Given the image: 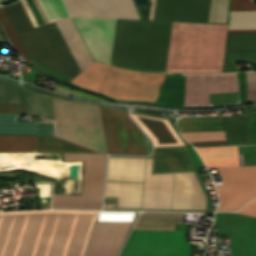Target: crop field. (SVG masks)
<instances>
[{
    "mask_svg": "<svg viewBox=\"0 0 256 256\" xmlns=\"http://www.w3.org/2000/svg\"><path fill=\"white\" fill-rule=\"evenodd\" d=\"M72 18L94 60L110 65L117 20ZM171 25L118 20L111 65L165 72ZM227 28L173 22L166 72H221Z\"/></svg>",
    "mask_w": 256,
    "mask_h": 256,
    "instance_id": "8a807250",
    "label": "crop field"
},
{
    "mask_svg": "<svg viewBox=\"0 0 256 256\" xmlns=\"http://www.w3.org/2000/svg\"><path fill=\"white\" fill-rule=\"evenodd\" d=\"M56 136L101 153L145 155L141 130L128 112L53 97Z\"/></svg>",
    "mask_w": 256,
    "mask_h": 256,
    "instance_id": "ac0d7876",
    "label": "crop field"
},
{
    "mask_svg": "<svg viewBox=\"0 0 256 256\" xmlns=\"http://www.w3.org/2000/svg\"><path fill=\"white\" fill-rule=\"evenodd\" d=\"M22 1L34 24L69 16L61 0ZM22 1L5 9L31 59L73 79L81 70L55 20L33 25Z\"/></svg>",
    "mask_w": 256,
    "mask_h": 256,
    "instance_id": "34b2d1b8",
    "label": "crop field"
},
{
    "mask_svg": "<svg viewBox=\"0 0 256 256\" xmlns=\"http://www.w3.org/2000/svg\"><path fill=\"white\" fill-rule=\"evenodd\" d=\"M165 74L143 73L93 62L71 83L120 100L155 102Z\"/></svg>",
    "mask_w": 256,
    "mask_h": 256,
    "instance_id": "412701ff",
    "label": "crop field"
},
{
    "mask_svg": "<svg viewBox=\"0 0 256 256\" xmlns=\"http://www.w3.org/2000/svg\"><path fill=\"white\" fill-rule=\"evenodd\" d=\"M146 159L143 208H172L174 173L151 175ZM174 208L206 209V196L194 171L176 173Z\"/></svg>",
    "mask_w": 256,
    "mask_h": 256,
    "instance_id": "f4fd0767",
    "label": "crop field"
},
{
    "mask_svg": "<svg viewBox=\"0 0 256 256\" xmlns=\"http://www.w3.org/2000/svg\"><path fill=\"white\" fill-rule=\"evenodd\" d=\"M49 212L95 213V215H96V212H86V211L49 210ZM56 217L57 216H55V215H50V216L46 217V221H45V224L43 227V231H42V234L40 237V241H39L35 256H44L45 255ZM58 217H57V220H58ZM74 217L75 216H60L59 217L57 227L55 224L56 230L54 227L55 233L53 230L54 236L52 233V236H53L52 243L50 240L51 246L49 243L50 249L48 246L49 252L47 249L48 256H63L65 248H66V244L68 241V237H69V234L71 231V227H72V224L74 221ZM76 217H75V221H76ZM92 218L93 217H90V216H78L76 224L74 221L75 227L73 224L74 231H73V227H72L73 234L71 231L72 238H71V241L69 238L70 244L68 241L69 248H68V244H67L68 251L66 248V251H67V254L65 251L66 256H81ZM57 220H56V223H57ZM93 222H94V220H93ZM92 225H93V223H92ZM91 228H92V226H91ZM90 231H91V229H90ZM71 234H70V237H71ZM89 234H90V232H89ZM52 236H51V239H52ZM88 238H89V235H88ZM88 238H87V241H88ZM87 241H86V244H87ZM86 244H85V247H86ZM85 247H84V250H85ZM84 250H83V254H84ZM47 252H46V255H47ZM65 254H64V256H65ZM83 254H82V256H83Z\"/></svg>",
    "mask_w": 256,
    "mask_h": 256,
    "instance_id": "dd49c442",
    "label": "crop field"
},
{
    "mask_svg": "<svg viewBox=\"0 0 256 256\" xmlns=\"http://www.w3.org/2000/svg\"><path fill=\"white\" fill-rule=\"evenodd\" d=\"M106 155L66 153L64 161L85 160L83 196L53 195L52 208L100 210Z\"/></svg>",
    "mask_w": 256,
    "mask_h": 256,
    "instance_id": "e52e79f7",
    "label": "crop field"
},
{
    "mask_svg": "<svg viewBox=\"0 0 256 256\" xmlns=\"http://www.w3.org/2000/svg\"><path fill=\"white\" fill-rule=\"evenodd\" d=\"M187 231L134 230L121 256H190Z\"/></svg>",
    "mask_w": 256,
    "mask_h": 256,
    "instance_id": "d8731c3e",
    "label": "crop field"
},
{
    "mask_svg": "<svg viewBox=\"0 0 256 256\" xmlns=\"http://www.w3.org/2000/svg\"><path fill=\"white\" fill-rule=\"evenodd\" d=\"M222 179L214 181L221 204L216 211H235L256 196V165L217 168Z\"/></svg>",
    "mask_w": 256,
    "mask_h": 256,
    "instance_id": "5a996713",
    "label": "crop field"
},
{
    "mask_svg": "<svg viewBox=\"0 0 256 256\" xmlns=\"http://www.w3.org/2000/svg\"><path fill=\"white\" fill-rule=\"evenodd\" d=\"M144 159L109 158L107 178L143 180ZM142 183L106 181L105 197L118 207H141Z\"/></svg>",
    "mask_w": 256,
    "mask_h": 256,
    "instance_id": "3316defc",
    "label": "crop field"
},
{
    "mask_svg": "<svg viewBox=\"0 0 256 256\" xmlns=\"http://www.w3.org/2000/svg\"><path fill=\"white\" fill-rule=\"evenodd\" d=\"M32 212H47V211L4 212L3 214L32 213ZM43 217L44 216H29L28 220H27L26 217H16V218L14 217L15 221H14L13 217H3L2 221H1V224H0V255H1V252H2V249H3V246H4V242H5V239H6V236H7L12 218H13V221H14V225H13V221H12V224H11V227H10V230H9V233H8V236H7V239H6V242H5V246H4V249H3V252H2L1 256H3V254H4V250H5L8 238H9V234H10L12 225H13V228H12V231H11V234H10V238H9L4 256H13L14 255V252H15V249H16V246H17V242H18V239H19V236H20V233H21V230H22L25 218H26V220H27V223L25 221L26 226L24 224L25 230H24V227H23L24 233H23V230H22L23 236H22V233H21L22 239H21V236H20L21 242H20V239H19L20 245L18 243L19 248L17 246L18 251L16 249L17 254H16V252H15V254H16V256H31L34 245H35V242H36V239H37V236H38V233H39V230H40V226H41ZM45 217H44V220H45ZM44 220H43V223H42V226H41V230H42V227H43V224H44ZM41 230H40V233H39V236H38V239H37V242H36V245H35L32 256H34V254H35V250H36V247H37V244H38V240H39V237H40V234H41Z\"/></svg>",
    "mask_w": 256,
    "mask_h": 256,
    "instance_id": "28ad6ade",
    "label": "crop field"
},
{
    "mask_svg": "<svg viewBox=\"0 0 256 256\" xmlns=\"http://www.w3.org/2000/svg\"><path fill=\"white\" fill-rule=\"evenodd\" d=\"M238 91L235 73L186 74L185 106H210L208 93Z\"/></svg>",
    "mask_w": 256,
    "mask_h": 256,
    "instance_id": "d1516ede",
    "label": "crop field"
},
{
    "mask_svg": "<svg viewBox=\"0 0 256 256\" xmlns=\"http://www.w3.org/2000/svg\"><path fill=\"white\" fill-rule=\"evenodd\" d=\"M218 232L231 233V256H256V218L220 213Z\"/></svg>",
    "mask_w": 256,
    "mask_h": 256,
    "instance_id": "22f410ed",
    "label": "crop field"
},
{
    "mask_svg": "<svg viewBox=\"0 0 256 256\" xmlns=\"http://www.w3.org/2000/svg\"><path fill=\"white\" fill-rule=\"evenodd\" d=\"M213 0H157L154 20L210 23Z\"/></svg>",
    "mask_w": 256,
    "mask_h": 256,
    "instance_id": "cbeb9de0",
    "label": "crop field"
},
{
    "mask_svg": "<svg viewBox=\"0 0 256 256\" xmlns=\"http://www.w3.org/2000/svg\"><path fill=\"white\" fill-rule=\"evenodd\" d=\"M130 223H95L85 256H114Z\"/></svg>",
    "mask_w": 256,
    "mask_h": 256,
    "instance_id": "5142ce71",
    "label": "crop field"
},
{
    "mask_svg": "<svg viewBox=\"0 0 256 256\" xmlns=\"http://www.w3.org/2000/svg\"><path fill=\"white\" fill-rule=\"evenodd\" d=\"M70 14L138 18L131 0H64Z\"/></svg>",
    "mask_w": 256,
    "mask_h": 256,
    "instance_id": "d9b57169",
    "label": "crop field"
},
{
    "mask_svg": "<svg viewBox=\"0 0 256 256\" xmlns=\"http://www.w3.org/2000/svg\"><path fill=\"white\" fill-rule=\"evenodd\" d=\"M130 116L154 141V147L186 146L166 118H155L132 112Z\"/></svg>",
    "mask_w": 256,
    "mask_h": 256,
    "instance_id": "733c2abd",
    "label": "crop field"
},
{
    "mask_svg": "<svg viewBox=\"0 0 256 256\" xmlns=\"http://www.w3.org/2000/svg\"><path fill=\"white\" fill-rule=\"evenodd\" d=\"M20 114H0V133L54 135L53 121L18 122Z\"/></svg>",
    "mask_w": 256,
    "mask_h": 256,
    "instance_id": "4a817a6b",
    "label": "crop field"
},
{
    "mask_svg": "<svg viewBox=\"0 0 256 256\" xmlns=\"http://www.w3.org/2000/svg\"><path fill=\"white\" fill-rule=\"evenodd\" d=\"M156 172L191 169L185 147L154 148Z\"/></svg>",
    "mask_w": 256,
    "mask_h": 256,
    "instance_id": "bc2a9ffb",
    "label": "crop field"
},
{
    "mask_svg": "<svg viewBox=\"0 0 256 256\" xmlns=\"http://www.w3.org/2000/svg\"><path fill=\"white\" fill-rule=\"evenodd\" d=\"M185 74L167 73L156 106L184 107Z\"/></svg>",
    "mask_w": 256,
    "mask_h": 256,
    "instance_id": "214f88e0",
    "label": "crop field"
},
{
    "mask_svg": "<svg viewBox=\"0 0 256 256\" xmlns=\"http://www.w3.org/2000/svg\"><path fill=\"white\" fill-rule=\"evenodd\" d=\"M228 0H214L211 22L225 23ZM256 27V11L232 12L230 28Z\"/></svg>",
    "mask_w": 256,
    "mask_h": 256,
    "instance_id": "92a150f3",
    "label": "crop field"
},
{
    "mask_svg": "<svg viewBox=\"0 0 256 256\" xmlns=\"http://www.w3.org/2000/svg\"><path fill=\"white\" fill-rule=\"evenodd\" d=\"M196 149L207 167L240 165L237 146Z\"/></svg>",
    "mask_w": 256,
    "mask_h": 256,
    "instance_id": "dafd665d",
    "label": "crop field"
},
{
    "mask_svg": "<svg viewBox=\"0 0 256 256\" xmlns=\"http://www.w3.org/2000/svg\"><path fill=\"white\" fill-rule=\"evenodd\" d=\"M173 224H181V213H141L134 229L173 230Z\"/></svg>",
    "mask_w": 256,
    "mask_h": 256,
    "instance_id": "00972430",
    "label": "crop field"
},
{
    "mask_svg": "<svg viewBox=\"0 0 256 256\" xmlns=\"http://www.w3.org/2000/svg\"><path fill=\"white\" fill-rule=\"evenodd\" d=\"M68 44L70 45L80 67L91 60V56L81 39L72 19L58 22Z\"/></svg>",
    "mask_w": 256,
    "mask_h": 256,
    "instance_id": "a9b5d70f",
    "label": "crop field"
},
{
    "mask_svg": "<svg viewBox=\"0 0 256 256\" xmlns=\"http://www.w3.org/2000/svg\"><path fill=\"white\" fill-rule=\"evenodd\" d=\"M176 125L181 133L224 130L223 118H180Z\"/></svg>",
    "mask_w": 256,
    "mask_h": 256,
    "instance_id": "4177f3b9",
    "label": "crop field"
},
{
    "mask_svg": "<svg viewBox=\"0 0 256 256\" xmlns=\"http://www.w3.org/2000/svg\"><path fill=\"white\" fill-rule=\"evenodd\" d=\"M37 151L93 153V151L90 149L84 148L56 136H39Z\"/></svg>",
    "mask_w": 256,
    "mask_h": 256,
    "instance_id": "730fd06b",
    "label": "crop field"
},
{
    "mask_svg": "<svg viewBox=\"0 0 256 256\" xmlns=\"http://www.w3.org/2000/svg\"><path fill=\"white\" fill-rule=\"evenodd\" d=\"M248 29H228V31H247ZM256 49V31L228 32L225 50Z\"/></svg>",
    "mask_w": 256,
    "mask_h": 256,
    "instance_id": "eef30255",
    "label": "crop field"
},
{
    "mask_svg": "<svg viewBox=\"0 0 256 256\" xmlns=\"http://www.w3.org/2000/svg\"><path fill=\"white\" fill-rule=\"evenodd\" d=\"M227 145L248 144L245 118H224Z\"/></svg>",
    "mask_w": 256,
    "mask_h": 256,
    "instance_id": "ae1a2a85",
    "label": "crop field"
},
{
    "mask_svg": "<svg viewBox=\"0 0 256 256\" xmlns=\"http://www.w3.org/2000/svg\"><path fill=\"white\" fill-rule=\"evenodd\" d=\"M37 136L0 135V151L35 150Z\"/></svg>",
    "mask_w": 256,
    "mask_h": 256,
    "instance_id": "d3111659",
    "label": "crop field"
},
{
    "mask_svg": "<svg viewBox=\"0 0 256 256\" xmlns=\"http://www.w3.org/2000/svg\"><path fill=\"white\" fill-rule=\"evenodd\" d=\"M0 24L3 27L4 32L6 33L9 41L13 44L15 49L18 51L20 56L26 61L32 63L27 51L25 50L23 44L21 43L18 35L16 34L5 10L3 7H0ZM33 64V63H32Z\"/></svg>",
    "mask_w": 256,
    "mask_h": 256,
    "instance_id": "750c4746",
    "label": "crop field"
},
{
    "mask_svg": "<svg viewBox=\"0 0 256 256\" xmlns=\"http://www.w3.org/2000/svg\"><path fill=\"white\" fill-rule=\"evenodd\" d=\"M0 104H23L21 87L0 80Z\"/></svg>",
    "mask_w": 256,
    "mask_h": 256,
    "instance_id": "bd1437ed",
    "label": "crop field"
},
{
    "mask_svg": "<svg viewBox=\"0 0 256 256\" xmlns=\"http://www.w3.org/2000/svg\"><path fill=\"white\" fill-rule=\"evenodd\" d=\"M189 142L225 140L224 131L182 134Z\"/></svg>",
    "mask_w": 256,
    "mask_h": 256,
    "instance_id": "1d83c4d3",
    "label": "crop field"
},
{
    "mask_svg": "<svg viewBox=\"0 0 256 256\" xmlns=\"http://www.w3.org/2000/svg\"><path fill=\"white\" fill-rule=\"evenodd\" d=\"M136 212H101L98 222H131Z\"/></svg>",
    "mask_w": 256,
    "mask_h": 256,
    "instance_id": "120bbe31",
    "label": "crop field"
},
{
    "mask_svg": "<svg viewBox=\"0 0 256 256\" xmlns=\"http://www.w3.org/2000/svg\"><path fill=\"white\" fill-rule=\"evenodd\" d=\"M256 10V4L251 0H231L230 11Z\"/></svg>",
    "mask_w": 256,
    "mask_h": 256,
    "instance_id": "d32e631a",
    "label": "crop field"
},
{
    "mask_svg": "<svg viewBox=\"0 0 256 256\" xmlns=\"http://www.w3.org/2000/svg\"><path fill=\"white\" fill-rule=\"evenodd\" d=\"M256 100V72H247V102Z\"/></svg>",
    "mask_w": 256,
    "mask_h": 256,
    "instance_id": "5866460e",
    "label": "crop field"
},
{
    "mask_svg": "<svg viewBox=\"0 0 256 256\" xmlns=\"http://www.w3.org/2000/svg\"><path fill=\"white\" fill-rule=\"evenodd\" d=\"M54 89H55V91L64 92V93H67V94H70V95L76 96V97H82V98H87V99H92V100H98V101H102V102L106 101V100H103V99H101L99 97L91 96V95H88L86 93H83V92L75 90V89H73L74 91H70L69 89H72L70 87L65 88V87H62V86H59V85L55 84ZM106 102H108V101H106Z\"/></svg>",
    "mask_w": 256,
    "mask_h": 256,
    "instance_id": "028f5c9d",
    "label": "crop field"
},
{
    "mask_svg": "<svg viewBox=\"0 0 256 256\" xmlns=\"http://www.w3.org/2000/svg\"><path fill=\"white\" fill-rule=\"evenodd\" d=\"M249 144H256V118H246Z\"/></svg>",
    "mask_w": 256,
    "mask_h": 256,
    "instance_id": "e1f06a70",
    "label": "crop field"
},
{
    "mask_svg": "<svg viewBox=\"0 0 256 256\" xmlns=\"http://www.w3.org/2000/svg\"><path fill=\"white\" fill-rule=\"evenodd\" d=\"M0 113L26 114V106L25 105H0Z\"/></svg>",
    "mask_w": 256,
    "mask_h": 256,
    "instance_id": "0bd39190",
    "label": "crop field"
},
{
    "mask_svg": "<svg viewBox=\"0 0 256 256\" xmlns=\"http://www.w3.org/2000/svg\"><path fill=\"white\" fill-rule=\"evenodd\" d=\"M239 79V89L241 104L246 102V72L237 73Z\"/></svg>",
    "mask_w": 256,
    "mask_h": 256,
    "instance_id": "b80d0937",
    "label": "crop field"
},
{
    "mask_svg": "<svg viewBox=\"0 0 256 256\" xmlns=\"http://www.w3.org/2000/svg\"><path fill=\"white\" fill-rule=\"evenodd\" d=\"M237 213L256 217V198L245 205Z\"/></svg>",
    "mask_w": 256,
    "mask_h": 256,
    "instance_id": "c035e120",
    "label": "crop field"
},
{
    "mask_svg": "<svg viewBox=\"0 0 256 256\" xmlns=\"http://www.w3.org/2000/svg\"><path fill=\"white\" fill-rule=\"evenodd\" d=\"M142 134H143L145 152H146V155H149V154L152 153L151 141L149 140V138L143 132H142Z\"/></svg>",
    "mask_w": 256,
    "mask_h": 256,
    "instance_id": "c21b1889",
    "label": "crop field"
},
{
    "mask_svg": "<svg viewBox=\"0 0 256 256\" xmlns=\"http://www.w3.org/2000/svg\"><path fill=\"white\" fill-rule=\"evenodd\" d=\"M152 1V4H153V1L154 0H151ZM154 9H155V1H154V6H151V9H150V15H149V19L150 20H153V17H154Z\"/></svg>",
    "mask_w": 256,
    "mask_h": 256,
    "instance_id": "03da06ac",
    "label": "crop field"
},
{
    "mask_svg": "<svg viewBox=\"0 0 256 256\" xmlns=\"http://www.w3.org/2000/svg\"><path fill=\"white\" fill-rule=\"evenodd\" d=\"M36 91H39V92H43V93H48V94H53V93H49V92H46V91H43V90H41V89H35ZM53 95H55V94H53Z\"/></svg>",
    "mask_w": 256,
    "mask_h": 256,
    "instance_id": "b54c1fbb",
    "label": "crop field"
},
{
    "mask_svg": "<svg viewBox=\"0 0 256 256\" xmlns=\"http://www.w3.org/2000/svg\"><path fill=\"white\" fill-rule=\"evenodd\" d=\"M0 43H5L4 40H3V37H2V35H1V33H0Z\"/></svg>",
    "mask_w": 256,
    "mask_h": 256,
    "instance_id": "5d738f31",
    "label": "crop field"
},
{
    "mask_svg": "<svg viewBox=\"0 0 256 256\" xmlns=\"http://www.w3.org/2000/svg\"><path fill=\"white\" fill-rule=\"evenodd\" d=\"M108 106H112V107H116V108H121V109L124 108V107H121V106H113V105H108Z\"/></svg>",
    "mask_w": 256,
    "mask_h": 256,
    "instance_id": "d23c7cc5",
    "label": "crop field"
},
{
    "mask_svg": "<svg viewBox=\"0 0 256 256\" xmlns=\"http://www.w3.org/2000/svg\"><path fill=\"white\" fill-rule=\"evenodd\" d=\"M3 212H0V214H2ZM2 218V217H1ZM1 218H0V221H1Z\"/></svg>",
    "mask_w": 256,
    "mask_h": 256,
    "instance_id": "425ffa30",
    "label": "crop field"
},
{
    "mask_svg": "<svg viewBox=\"0 0 256 256\" xmlns=\"http://www.w3.org/2000/svg\"><path fill=\"white\" fill-rule=\"evenodd\" d=\"M2 1H4V0H0V2H2Z\"/></svg>",
    "mask_w": 256,
    "mask_h": 256,
    "instance_id": "25e5ab78",
    "label": "crop field"
},
{
    "mask_svg": "<svg viewBox=\"0 0 256 256\" xmlns=\"http://www.w3.org/2000/svg\"><path fill=\"white\" fill-rule=\"evenodd\" d=\"M57 96H59V95H57ZM60 97H62V96H60Z\"/></svg>",
    "mask_w": 256,
    "mask_h": 256,
    "instance_id": "73cf0c24",
    "label": "crop field"
}]
</instances>
